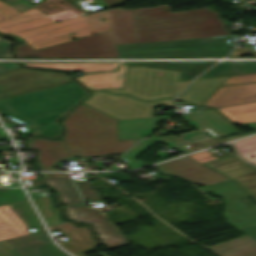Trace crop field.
I'll use <instances>...</instances> for the list:
<instances>
[{"label": "crop field", "instance_id": "crop-field-1", "mask_svg": "<svg viewBox=\"0 0 256 256\" xmlns=\"http://www.w3.org/2000/svg\"><path fill=\"white\" fill-rule=\"evenodd\" d=\"M111 30L34 50L18 45V57L119 58L116 44L229 35L217 13L199 9L170 13L169 5L147 9L108 10Z\"/></svg>", "mask_w": 256, "mask_h": 256}, {"label": "crop field", "instance_id": "crop-field-2", "mask_svg": "<svg viewBox=\"0 0 256 256\" xmlns=\"http://www.w3.org/2000/svg\"><path fill=\"white\" fill-rule=\"evenodd\" d=\"M61 2L66 7L57 3ZM84 11L67 0H46L22 13L0 2V31L16 33L34 49L109 30L107 11L84 16ZM105 17L106 21L97 18ZM59 21L56 23L54 21Z\"/></svg>", "mask_w": 256, "mask_h": 256}, {"label": "crop field", "instance_id": "crop-field-3", "mask_svg": "<svg viewBox=\"0 0 256 256\" xmlns=\"http://www.w3.org/2000/svg\"><path fill=\"white\" fill-rule=\"evenodd\" d=\"M64 141L33 138L28 147L39 150L37 159L42 171L63 158L95 157L122 154L139 139L117 141V121L83 104L62 121Z\"/></svg>", "mask_w": 256, "mask_h": 256}, {"label": "crop field", "instance_id": "crop-field-4", "mask_svg": "<svg viewBox=\"0 0 256 256\" xmlns=\"http://www.w3.org/2000/svg\"><path fill=\"white\" fill-rule=\"evenodd\" d=\"M86 92L75 82L33 93L0 99V114L29 126L22 136L58 137L55 120L80 101Z\"/></svg>", "mask_w": 256, "mask_h": 256}, {"label": "crop field", "instance_id": "crop-field-5", "mask_svg": "<svg viewBox=\"0 0 256 256\" xmlns=\"http://www.w3.org/2000/svg\"><path fill=\"white\" fill-rule=\"evenodd\" d=\"M235 37L237 36L149 42L117 45V48L121 58L223 57L234 46L229 44L228 39Z\"/></svg>", "mask_w": 256, "mask_h": 256}, {"label": "crop field", "instance_id": "crop-field-6", "mask_svg": "<svg viewBox=\"0 0 256 256\" xmlns=\"http://www.w3.org/2000/svg\"><path fill=\"white\" fill-rule=\"evenodd\" d=\"M180 72L149 68L128 67L123 88L111 89L113 93H125L142 100L159 97L175 98L190 82H179Z\"/></svg>", "mask_w": 256, "mask_h": 256}, {"label": "crop field", "instance_id": "crop-field-7", "mask_svg": "<svg viewBox=\"0 0 256 256\" xmlns=\"http://www.w3.org/2000/svg\"><path fill=\"white\" fill-rule=\"evenodd\" d=\"M169 107H176L172 99L158 101ZM82 103L97 109L117 120L153 116L152 108L156 102H142L126 95L114 96L106 92H92Z\"/></svg>", "mask_w": 256, "mask_h": 256}, {"label": "crop field", "instance_id": "crop-field-8", "mask_svg": "<svg viewBox=\"0 0 256 256\" xmlns=\"http://www.w3.org/2000/svg\"><path fill=\"white\" fill-rule=\"evenodd\" d=\"M73 80L66 74L19 69L0 74V98L60 85Z\"/></svg>", "mask_w": 256, "mask_h": 256}, {"label": "crop field", "instance_id": "crop-field-9", "mask_svg": "<svg viewBox=\"0 0 256 256\" xmlns=\"http://www.w3.org/2000/svg\"><path fill=\"white\" fill-rule=\"evenodd\" d=\"M224 198L227 223L236 229L256 225V206L246 208L238 199L248 197L237 185L227 180L200 188Z\"/></svg>", "mask_w": 256, "mask_h": 256}, {"label": "crop field", "instance_id": "crop-field-10", "mask_svg": "<svg viewBox=\"0 0 256 256\" xmlns=\"http://www.w3.org/2000/svg\"><path fill=\"white\" fill-rule=\"evenodd\" d=\"M67 219L90 223L96 230L103 246L111 250L128 244L123 236L104 217V215L84 205L63 206Z\"/></svg>", "mask_w": 256, "mask_h": 256}, {"label": "crop field", "instance_id": "crop-field-11", "mask_svg": "<svg viewBox=\"0 0 256 256\" xmlns=\"http://www.w3.org/2000/svg\"><path fill=\"white\" fill-rule=\"evenodd\" d=\"M203 165L229 177L256 200V167L238 159L235 154Z\"/></svg>", "mask_w": 256, "mask_h": 256}, {"label": "crop field", "instance_id": "crop-field-12", "mask_svg": "<svg viewBox=\"0 0 256 256\" xmlns=\"http://www.w3.org/2000/svg\"><path fill=\"white\" fill-rule=\"evenodd\" d=\"M156 166L166 172L189 179L193 183L203 186L227 180L225 177L201 166L186 156Z\"/></svg>", "mask_w": 256, "mask_h": 256}, {"label": "crop field", "instance_id": "crop-field-13", "mask_svg": "<svg viewBox=\"0 0 256 256\" xmlns=\"http://www.w3.org/2000/svg\"><path fill=\"white\" fill-rule=\"evenodd\" d=\"M256 100V83L220 87L204 104L223 107Z\"/></svg>", "mask_w": 256, "mask_h": 256}, {"label": "crop field", "instance_id": "crop-field-14", "mask_svg": "<svg viewBox=\"0 0 256 256\" xmlns=\"http://www.w3.org/2000/svg\"><path fill=\"white\" fill-rule=\"evenodd\" d=\"M180 117L196 129L207 128L217 137L238 132L231 124L213 110L182 115Z\"/></svg>", "mask_w": 256, "mask_h": 256}, {"label": "crop field", "instance_id": "crop-field-15", "mask_svg": "<svg viewBox=\"0 0 256 256\" xmlns=\"http://www.w3.org/2000/svg\"><path fill=\"white\" fill-rule=\"evenodd\" d=\"M55 228H58L67 236L70 242L62 243L61 245L72 253L81 256L80 253L95 248L88 235L87 228L81 227L74 229L70 222H63L49 227L50 230Z\"/></svg>", "mask_w": 256, "mask_h": 256}, {"label": "crop field", "instance_id": "crop-field-16", "mask_svg": "<svg viewBox=\"0 0 256 256\" xmlns=\"http://www.w3.org/2000/svg\"><path fill=\"white\" fill-rule=\"evenodd\" d=\"M215 62H129L125 66H149L181 71L179 81L192 80Z\"/></svg>", "mask_w": 256, "mask_h": 256}, {"label": "crop field", "instance_id": "crop-field-17", "mask_svg": "<svg viewBox=\"0 0 256 256\" xmlns=\"http://www.w3.org/2000/svg\"><path fill=\"white\" fill-rule=\"evenodd\" d=\"M125 74L126 67L122 63L116 72L88 74L76 79L90 90L110 89L123 87Z\"/></svg>", "mask_w": 256, "mask_h": 256}, {"label": "crop field", "instance_id": "crop-field-18", "mask_svg": "<svg viewBox=\"0 0 256 256\" xmlns=\"http://www.w3.org/2000/svg\"><path fill=\"white\" fill-rule=\"evenodd\" d=\"M168 117L170 115L119 121V140L149 136L158 120Z\"/></svg>", "mask_w": 256, "mask_h": 256}, {"label": "crop field", "instance_id": "crop-field-19", "mask_svg": "<svg viewBox=\"0 0 256 256\" xmlns=\"http://www.w3.org/2000/svg\"><path fill=\"white\" fill-rule=\"evenodd\" d=\"M229 77L195 80L178 100L201 105Z\"/></svg>", "mask_w": 256, "mask_h": 256}, {"label": "crop field", "instance_id": "crop-field-20", "mask_svg": "<svg viewBox=\"0 0 256 256\" xmlns=\"http://www.w3.org/2000/svg\"><path fill=\"white\" fill-rule=\"evenodd\" d=\"M256 73V61L220 62L198 79Z\"/></svg>", "mask_w": 256, "mask_h": 256}, {"label": "crop field", "instance_id": "crop-field-21", "mask_svg": "<svg viewBox=\"0 0 256 256\" xmlns=\"http://www.w3.org/2000/svg\"><path fill=\"white\" fill-rule=\"evenodd\" d=\"M209 248L222 256H247L256 252V242L244 235Z\"/></svg>", "mask_w": 256, "mask_h": 256}, {"label": "crop field", "instance_id": "crop-field-22", "mask_svg": "<svg viewBox=\"0 0 256 256\" xmlns=\"http://www.w3.org/2000/svg\"><path fill=\"white\" fill-rule=\"evenodd\" d=\"M23 65L35 67H47L65 69L71 71L98 72L115 70L120 63H22Z\"/></svg>", "mask_w": 256, "mask_h": 256}, {"label": "crop field", "instance_id": "crop-field-23", "mask_svg": "<svg viewBox=\"0 0 256 256\" xmlns=\"http://www.w3.org/2000/svg\"><path fill=\"white\" fill-rule=\"evenodd\" d=\"M217 110L235 124L256 121V101L217 108Z\"/></svg>", "mask_w": 256, "mask_h": 256}, {"label": "crop field", "instance_id": "crop-field-24", "mask_svg": "<svg viewBox=\"0 0 256 256\" xmlns=\"http://www.w3.org/2000/svg\"><path fill=\"white\" fill-rule=\"evenodd\" d=\"M41 180L59 193L62 204L82 203L70 178H41Z\"/></svg>", "mask_w": 256, "mask_h": 256}, {"label": "crop field", "instance_id": "crop-field-25", "mask_svg": "<svg viewBox=\"0 0 256 256\" xmlns=\"http://www.w3.org/2000/svg\"><path fill=\"white\" fill-rule=\"evenodd\" d=\"M14 248L21 256H68L54 243H34Z\"/></svg>", "mask_w": 256, "mask_h": 256}, {"label": "crop field", "instance_id": "crop-field-26", "mask_svg": "<svg viewBox=\"0 0 256 256\" xmlns=\"http://www.w3.org/2000/svg\"><path fill=\"white\" fill-rule=\"evenodd\" d=\"M10 208L19 216V218L27 225V229L35 228L37 231H43L44 228L39 221L36 213L31 207L29 201H23L9 205ZM31 232V233H35Z\"/></svg>", "mask_w": 256, "mask_h": 256}, {"label": "crop field", "instance_id": "crop-field-27", "mask_svg": "<svg viewBox=\"0 0 256 256\" xmlns=\"http://www.w3.org/2000/svg\"><path fill=\"white\" fill-rule=\"evenodd\" d=\"M33 201L39 208V210H40L43 218L47 222L48 226L63 222L62 219L58 218L59 214H60V209L55 208V204L52 203L49 196L34 199Z\"/></svg>", "mask_w": 256, "mask_h": 256}, {"label": "crop field", "instance_id": "crop-field-28", "mask_svg": "<svg viewBox=\"0 0 256 256\" xmlns=\"http://www.w3.org/2000/svg\"><path fill=\"white\" fill-rule=\"evenodd\" d=\"M0 218L7 222L17 232L19 236L29 234L25 224L9 208L8 205L0 207Z\"/></svg>", "mask_w": 256, "mask_h": 256}, {"label": "crop field", "instance_id": "crop-field-29", "mask_svg": "<svg viewBox=\"0 0 256 256\" xmlns=\"http://www.w3.org/2000/svg\"><path fill=\"white\" fill-rule=\"evenodd\" d=\"M154 141L145 139L134 146L130 151H128L121 159L125 160L126 163L132 168H138L142 166H146V164L134 159L141 152H143L147 147H149Z\"/></svg>", "mask_w": 256, "mask_h": 256}, {"label": "crop field", "instance_id": "crop-field-30", "mask_svg": "<svg viewBox=\"0 0 256 256\" xmlns=\"http://www.w3.org/2000/svg\"><path fill=\"white\" fill-rule=\"evenodd\" d=\"M234 145L236 146L242 157L256 164V136L234 142ZM251 155H254L255 158L251 159L249 157Z\"/></svg>", "mask_w": 256, "mask_h": 256}, {"label": "crop field", "instance_id": "crop-field-31", "mask_svg": "<svg viewBox=\"0 0 256 256\" xmlns=\"http://www.w3.org/2000/svg\"><path fill=\"white\" fill-rule=\"evenodd\" d=\"M7 242L13 247L34 242H51V240L49 239L46 232L43 231L35 234H29L13 239H8Z\"/></svg>", "mask_w": 256, "mask_h": 256}, {"label": "crop field", "instance_id": "crop-field-32", "mask_svg": "<svg viewBox=\"0 0 256 256\" xmlns=\"http://www.w3.org/2000/svg\"><path fill=\"white\" fill-rule=\"evenodd\" d=\"M149 139L157 141V142H161V143H163L181 153H184V154L191 152V150L188 148V146L185 142L179 140L178 138H176L172 135L153 137V138H149Z\"/></svg>", "mask_w": 256, "mask_h": 256}, {"label": "crop field", "instance_id": "crop-field-33", "mask_svg": "<svg viewBox=\"0 0 256 256\" xmlns=\"http://www.w3.org/2000/svg\"><path fill=\"white\" fill-rule=\"evenodd\" d=\"M179 138L188 143H193V142L212 139L214 138V136L207 129H202V130L182 133L180 134Z\"/></svg>", "mask_w": 256, "mask_h": 256}, {"label": "crop field", "instance_id": "crop-field-34", "mask_svg": "<svg viewBox=\"0 0 256 256\" xmlns=\"http://www.w3.org/2000/svg\"><path fill=\"white\" fill-rule=\"evenodd\" d=\"M26 196L22 189H11L5 193L0 192V206L26 200Z\"/></svg>", "mask_w": 256, "mask_h": 256}, {"label": "crop field", "instance_id": "crop-field-35", "mask_svg": "<svg viewBox=\"0 0 256 256\" xmlns=\"http://www.w3.org/2000/svg\"><path fill=\"white\" fill-rule=\"evenodd\" d=\"M84 198L101 197L99 190H92L91 181L76 182Z\"/></svg>", "mask_w": 256, "mask_h": 256}, {"label": "crop field", "instance_id": "crop-field-36", "mask_svg": "<svg viewBox=\"0 0 256 256\" xmlns=\"http://www.w3.org/2000/svg\"><path fill=\"white\" fill-rule=\"evenodd\" d=\"M246 135H250V134L248 133V134H244V135L231 136V137H227V138H224V139L215 138V139L204 141V142L193 143L192 146H193L194 150L196 151V150H199V149H202V148H206V147L218 144V143H222V142L232 140V139H235V138H239V137H243V136H246Z\"/></svg>", "mask_w": 256, "mask_h": 256}, {"label": "crop field", "instance_id": "crop-field-37", "mask_svg": "<svg viewBox=\"0 0 256 256\" xmlns=\"http://www.w3.org/2000/svg\"><path fill=\"white\" fill-rule=\"evenodd\" d=\"M247 82H256V74L230 77L222 85L247 83Z\"/></svg>", "mask_w": 256, "mask_h": 256}, {"label": "crop field", "instance_id": "crop-field-38", "mask_svg": "<svg viewBox=\"0 0 256 256\" xmlns=\"http://www.w3.org/2000/svg\"><path fill=\"white\" fill-rule=\"evenodd\" d=\"M15 231L4 221L0 219V240L17 237Z\"/></svg>", "mask_w": 256, "mask_h": 256}, {"label": "crop field", "instance_id": "crop-field-39", "mask_svg": "<svg viewBox=\"0 0 256 256\" xmlns=\"http://www.w3.org/2000/svg\"><path fill=\"white\" fill-rule=\"evenodd\" d=\"M14 44V41H10L4 37L0 38V57H12L9 49Z\"/></svg>", "mask_w": 256, "mask_h": 256}, {"label": "crop field", "instance_id": "crop-field-40", "mask_svg": "<svg viewBox=\"0 0 256 256\" xmlns=\"http://www.w3.org/2000/svg\"><path fill=\"white\" fill-rule=\"evenodd\" d=\"M0 256H19L14 249L5 241H0Z\"/></svg>", "mask_w": 256, "mask_h": 256}, {"label": "crop field", "instance_id": "crop-field-41", "mask_svg": "<svg viewBox=\"0 0 256 256\" xmlns=\"http://www.w3.org/2000/svg\"><path fill=\"white\" fill-rule=\"evenodd\" d=\"M239 231L245 233L246 235H248L251 238H253L254 240H256V226L239 229Z\"/></svg>", "mask_w": 256, "mask_h": 256}, {"label": "crop field", "instance_id": "crop-field-42", "mask_svg": "<svg viewBox=\"0 0 256 256\" xmlns=\"http://www.w3.org/2000/svg\"><path fill=\"white\" fill-rule=\"evenodd\" d=\"M20 67L17 63H0V73Z\"/></svg>", "mask_w": 256, "mask_h": 256}, {"label": "crop field", "instance_id": "crop-field-43", "mask_svg": "<svg viewBox=\"0 0 256 256\" xmlns=\"http://www.w3.org/2000/svg\"><path fill=\"white\" fill-rule=\"evenodd\" d=\"M104 1L106 2L108 8L124 4V0H104Z\"/></svg>", "mask_w": 256, "mask_h": 256}, {"label": "crop field", "instance_id": "crop-field-44", "mask_svg": "<svg viewBox=\"0 0 256 256\" xmlns=\"http://www.w3.org/2000/svg\"><path fill=\"white\" fill-rule=\"evenodd\" d=\"M0 140H10L8 136H0ZM0 150H14L13 147H0Z\"/></svg>", "mask_w": 256, "mask_h": 256}, {"label": "crop field", "instance_id": "crop-field-45", "mask_svg": "<svg viewBox=\"0 0 256 256\" xmlns=\"http://www.w3.org/2000/svg\"><path fill=\"white\" fill-rule=\"evenodd\" d=\"M69 1L74 2V1H78V0H69Z\"/></svg>", "mask_w": 256, "mask_h": 256}, {"label": "crop field", "instance_id": "crop-field-46", "mask_svg": "<svg viewBox=\"0 0 256 256\" xmlns=\"http://www.w3.org/2000/svg\"><path fill=\"white\" fill-rule=\"evenodd\" d=\"M250 256H256V253H255V254H253V255H250Z\"/></svg>", "mask_w": 256, "mask_h": 256}]
</instances>
